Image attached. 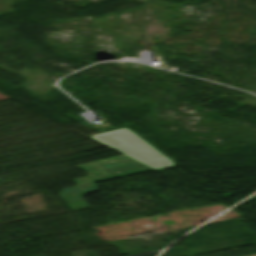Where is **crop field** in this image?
I'll return each mask as SVG.
<instances>
[{
  "label": "crop field",
  "instance_id": "obj_1",
  "mask_svg": "<svg viewBox=\"0 0 256 256\" xmlns=\"http://www.w3.org/2000/svg\"><path fill=\"white\" fill-rule=\"evenodd\" d=\"M77 167L84 169L90 176L74 179L78 186L63 189L58 193L72 210L88 207L81 196L84 193L97 191L95 183L153 170L124 155L77 165ZM115 171L122 172L124 176Z\"/></svg>",
  "mask_w": 256,
  "mask_h": 256
},
{
  "label": "crop field",
  "instance_id": "obj_2",
  "mask_svg": "<svg viewBox=\"0 0 256 256\" xmlns=\"http://www.w3.org/2000/svg\"><path fill=\"white\" fill-rule=\"evenodd\" d=\"M90 137L155 170L174 165L173 161L127 128L95 134Z\"/></svg>",
  "mask_w": 256,
  "mask_h": 256
}]
</instances>
